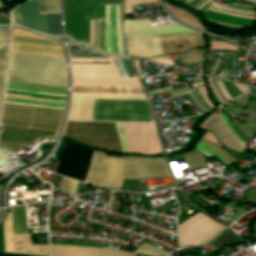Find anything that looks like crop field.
<instances>
[{"mask_svg":"<svg viewBox=\"0 0 256 256\" xmlns=\"http://www.w3.org/2000/svg\"><path fill=\"white\" fill-rule=\"evenodd\" d=\"M73 95L69 120H91L94 99L147 100L128 59L69 47Z\"/></svg>","mask_w":256,"mask_h":256,"instance_id":"8a807250","label":"crop field"},{"mask_svg":"<svg viewBox=\"0 0 256 256\" xmlns=\"http://www.w3.org/2000/svg\"><path fill=\"white\" fill-rule=\"evenodd\" d=\"M171 177L163 158L110 157L94 152L86 183L133 190V179Z\"/></svg>","mask_w":256,"mask_h":256,"instance_id":"ac0d7876","label":"crop field"},{"mask_svg":"<svg viewBox=\"0 0 256 256\" xmlns=\"http://www.w3.org/2000/svg\"><path fill=\"white\" fill-rule=\"evenodd\" d=\"M62 111L6 105L0 142L11 151L32 144L37 136L55 135Z\"/></svg>","mask_w":256,"mask_h":256,"instance_id":"34b2d1b8","label":"crop field"},{"mask_svg":"<svg viewBox=\"0 0 256 256\" xmlns=\"http://www.w3.org/2000/svg\"><path fill=\"white\" fill-rule=\"evenodd\" d=\"M8 79L67 85L64 58L11 52Z\"/></svg>","mask_w":256,"mask_h":256,"instance_id":"412701ff","label":"crop field"},{"mask_svg":"<svg viewBox=\"0 0 256 256\" xmlns=\"http://www.w3.org/2000/svg\"><path fill=\"white\" fill-rule=\"evenodd\" d=\"M67 87L8 80L4 103L64 110Z\"/></svg>","mask_w":256,"mask_h":256,"instance_id":"f4fd0767","label":"crop field"},{"mask_svg":"<svg viewBox=\"0 0 256 256\" xmlns=\"http://www.w3.org/2000/svg\"><path fill=\"white\" fill-rule=\"evenodd\" d=\"M194 32L176 23L151 27L148 19L125 20L126 37L151 36L157 34ZM130 55L141 58L162 55L158 36L126 38Z\"/></svg>","mask_w":256,"mask_h":256,"instance_id":"dd49c442","label":"crop field"},{"mask_svg":"<svg viewBox=\"0 0 256 256\" xmlns=\"http://www.w3.org/2000/svg\"><path fill=\"white\" fill-rule=\"evenodd\" d=\"M104 4L121 0H64L66 33L89 45V19H104Z\"/></svg>","mask_w":256,"mask_h":256,"instance_id":"e52e79f7","label":"crop field"},{"mask_svg":"<svg viewBox=\"0 0 256 256\" xmlns=\"http://www.w3.org/2000/svg\"><path fill=\"white\" fill-rule=\"evenodd\" d=\"M116 125L123 153L156 155L162 152L155 124Z\"/></svg>","mask_w":256,"mask_h":256,"instance_id":"d8731c3e","label":"crop field"},{"mask_svg":"<svg viewBox=\"0 0 256 256\" xmlns=\"http://www.w3.org/2000/svg\"><path fill=\"white\" fill-rule=\"evenodd\" d=\"M92 120L150 122L153 119L148 101L95 100Z\"/></svg>","mask_w":256,"mask_h":256,"instance_id":"5a996713","label":"crop field"},{"mask_svg":"<svg viewBox=\"0 0 256 256\" xmlns=\"http://www.w3.org/2000/svg\"><path fill=\"white\" fill-rule=\"evenodd\" d=\"M12 24L20 25L42 34H61L60 13L40 14L39 0H30L11 13Z\"/></svg>","mask_w":256,"mask_h":256,"instance_id":"3316defc","label":"crop field"},{"mask_svg":"<svg viewBox=\"0 0 256 256\" xmlns=\"http://www.w3.org/2000/svg\"><path fill=\"white\" fill-rule=\"evenodd\" d=\"M62 147L55 173L84 181L94 151L71 141Z\"/></svg>","mask_w":256,"mask_h":256,"instance_id":"28ad6ade","label":"crop field"},{"mask_svg":"<svg viewBox=\"0 0 256 256\" xmlns=\"http://www.w3.org/2000/svg\"><path fill=\"white\" fill-rule=\"evenodd\" d=\"M218 224L212 222L208 218L204 217L201 214H195L186 222H184L181 227L182 232V242L183 246L187 244H196L209 233H211L214 229H216ZM226 228L222 225L205 237L202 241H200L196 245H205L210 242L212 239L217 237L221 232H223Z\"/></svg>","mask_w":256,"mask_h":256,"instance_id":"d1516ede","label":"crop field"},{"mask_svg":"<svg viewBox=\"0 0 256 256\" xmlns=\"http://www.w3.org/2000/svg\"><path fill=\"white\" fill-rule=\"evenodd\" d=\"M212 7L225 10V11L235 12V13L253 15V12L243 11V10L253 11V6H250V5L235 4V3H231L230 5H228V7L243 9V10H236L232 8L215 5V4H213ZM212 7H210L209 10L205 13V18L208 21L217 23L225 27H230V28H241L243 26H247L254 23L253 16L225 12V11L214 9Z\"/></svg>","mask_w":256,"mask_h":256,"instance_id":"22f410ed","label":"crop field"},{"mask_svg":"<svg viewBox=\"0 0 256 256\" xmlns=\"http://www.w3.org/2000/svg\"><path fill=\"white\" fill-rule=\"evenodd\" d=\"M5 252L49 256L48 245H32L30 234H13L12 212L3 222Z\"/></svg>","mask_w":256,"mask_h":256,"instance_id":"cbeb9de0","label":"crop field"},{"mask_svg":"<svg viewBox=\"0 0 256 256\" xmlns=\"http://www.w3.org/2000/svg\"><path fill=\"white\" fill-rule=\"evenodd\" d=\"M105 52L126 55L123 49L121 5H105Z\"/></svg>","mask_w":256,"mask_h":256,"instance_id":"5142ce71","label":"crop field"},{"mask_svg":"<svg viewBox=\"0 0 256 256\" xmlns=\"http://www.w3.org/2000/svg\"><path fill=\"white\" fill-rule=\"evenodd\" d=\"M14 51L62 56L60 47L54 41L17 29H15Z\"/></svg>","mask_w":256,"mask_h":256,"instance_id":"d9b57169","label":"crop field"},{"mask_svg":"<svg viewBox=\"0 0 256 256\" xmlns=\"http://www.w3.org/2000/svg\"><path fill=\"white\" fill-rule=\"evenodd\" d=\"M229 127L231 128L232 132L238 138V140L246 147L245 141L242 137L237 133V131L232 126L227 114H223ZM227 123L225 122L222 114H217L213 117L204 127V129H208L212 131L218 140L222 142L225 147L229 149H233L238 152H242L244 150V146L237 140L234 134L231 132L230 128L228 127Z\"/></svg>","mask_w":256,"mask_h":256,"instance_id":"733c2abd","label":"crop field"},{"mask_svg":"<svg viewBox=\"0 0 256 256\" xmlns=\"http://www.w3.org/2000/svg\"><path fill=\"white\" fill-rule=\"evenodd\" d=\"M163 54H174L203 46L202 34L159 36Z\"/></svg>","mask_w":256,"mask_h":256,"instance_id":"4a817a6b","label":"crop field"},{"mask_svg":"<svg viewBox=\"0 0 256 256\" xmlns=\"http://www.w3.org/2000/svg\"><path fill=\"white\" fill-rule=\"evenodd\" d=\"M52 256H136L135 253H129L113 248L103 249L79 247V246H65V245H51Z\"/></svg>","mask_w":256,"mask_h":256,"instance_id":"bc2a9ffb","label":"crop field"},{"mask_svg":"<svg viewBox=\"0 0 256 256\" xmlns=\"http://www.w3.org/2000/svg\"><path fill=\"white\" fill-rule=\"evenodd\" d=\"M9 27H0V99L5 84L6 67L8 62V41H9ZM1 107V101H0Z\"/></svg>","mask_w":256,"mask_h":256,"instance_id":"214f88e0","label":"crop field"},{"mask_svg":"<svg viewBox=\"0 0 256 256\" xmlns=\"http://www.w3.org/2000/svg\"><path fill=\"white\" fill-rule=\"evenodd\" d=\"M195 149H197L200 153L205 155L207 158L215 155L227 166L233 164L236 161L221 148L202 140H200V142L197 144Z\"/></svg>","mask_w":256,"mask_h":256,"instance_id":"92a150f3","label":"crop field"},{"mask_svg":"<svg viewBox=\"0 0 256 256\" xmlns=\"http://www.w3.org/2000/svg\"><path fill=\"white\" fill-rule=\"evenodd\" d=\"M163 4L165 5L166 9L181 22L204 31V29H203L202 25L199 23V21L197 19H195L189 13H187L183 10L177 9V8L170 7L165 3H163Z\"/></svg>","mask_w":256,"mask_h":256,"instance_id":"dafd665d","label":"crop field"},{"mask_svg":"<svg viewBox=\"0 0 256 256\" xmlns=\"http://www.w3.org/2000/svg\"><path fill=\"white\" fill-rule=\"evenodd\" d=\"M183 66L201 63L204 61L203 49H193L184 53L178 54Z\"/></svg>","mask_w":256,"mask_h":256,"instance_id":"00972430","label":"crop field"},{"mask_svg":"<svg viewBox=\"0 0 256 256\" xmlns=\"http://www.w3.org/2000/svg\"><path fill=\"white\" fill-rule=\"evenodd\" d=\"M14 233L27 232L25 208L13 210Z\"/></svg>","mask_w":256,"mask_h":256,"instance_id":"a9b5d70f","label":"crop field"},{"mask_svg":"<svg viewBox=\"0 0 256 256\" xmlns=\"http://www.w3.org/2000/svg\"><path fill=\"white\" fill-rule=\"evenodd\" d=\"M95 48L104 51V20H95Z\"/></svg>","mask_w":256,"mask_h":256,"instance_id":"4177f3b9","label":"crop field"},{"mask_svg":"<svg viewBox=\"0 0 256 256\" xmlns=\"http://www.w3.org/2000/svg\"><path fill=\"white\" fill-rule=\"evenodd\" d=\"M136 253L147 255V256H169L171 253L161 250L159 248L153 247L146 243L139 246Z\"/></svg>","mask_w":256,"mask_h":256,"instance_id":"730fd06b","label":"crop field"},{"mask_svg":"<svg viewBox=\"0 0 256 256\" xmlns=\"http://www.w3.org/2000/svg\"><path fill=\"white\" fill-rule=\"evenodd\" d=\"M228 230L215 242L213 246H228L243 242L241 238Z\"/></svg>","mask_w":256,"mask_h":256,"instance_id":"eef30255","label":"crop field"},{"mask_svg":"<svg viewBox=\"0 0 256 256\" xmlns=\"http://www.w3.org/2000/svg\"><path fill=\"white\" fill-rule=\"evenodd\" d=\"M183 155L190 169L205 165L201 154L195 151L184 153Z\"/></svg>","mask_w":256,"mask_h":256,"instance_id":"ae1a2a85","label":"crop field"},{"mask_svg":"<svg viewBox=\"0 0 256 256\" xmlns=\"http://www.w3.org/2000/svg\"><path fill=\"white\" fill-rule=\"evenodd\" d=\"M41 13L60 12L59 0H40Z\"/></svg>","mask_w":256,"mask_h":256,"instance_id":"d3111659","label":"crop field"},{"mask_svg":"<svg viewBox=\"0 0 256 256\" xmlns=\"http://www.w3.org/2000/svg\"><path fill=\"white\" fill-rule=\"evenodd\" d=\"M77 184H78L77 181H73V180L62 177L59 190L69 195H73L76 192Z\"/></svg>","mask_w":256,"mask_h":256,"instance_id":"750c4746","label":"crop field"},{"mask_svg":"<svg viewBox=\"0 0 256 256\" xmlns=\"http://www.w3.org/2000/svg\"><path fill=\"white\" fill-rule=\"evenodd\" d=\"M166 90H169V92L172 96H175V95H178V94L180 95L182 93L191 92L190 89L188 88V86H184V87H181V88H178V89H175V90H173L172 86H168V87H165V88L149 91V92H147V94L150 95V94H154V93H161V92H164Z\"/></svg>","mask_w":256,"mask_h":256,"instance_id":"bd1437ed","label":"crop field"},{"mask_svg":"<svg viewBox=\"0 0 256 256\" xmlns=\"http://www.w3.org/2000/svg\"><path fill=\"white\" fill-rule=\"evenodd\" d=\"M157 0H124V15L132 14L131 5L154 3Z\"/></svg>","mask_w":256,"mask_h":256,"instance_id":"1d83c4d3","label":"crop field"},{"mask_svg":"<svg viewBox=\"0 0 256 256\" xmlns=\"http://www.w3.org/2000/svg\"><path fill=\"white\" fill-rule=\"evenodd\" d=\"M235 126L238 128L241 134L245 137V139L256 131V125H252V124L240 125L236 123Z\"/></svg>","mask_w":256,"mask_h":256,"instance_id":"120bbe31","label":"crop field"},{"mask_svg":"<svg viewBox=\"0 0 256 256\" xmlns=\"http://www.w3.org/2000/svg\"><path fill=\"white\" fill-rule=\"evenodd\" d=\"M203 0H195L192 4H190L189 6L191 7H195L197 6L200 2H202ZM212 0H204L202 3H200L197 7H195L196 10L198 11H204L210 4H211Z\"/></svg>","mask_w":256,"mask_h":256,"instance_id":"d32e631a","label":"crop field"},{"mask_svg":"<svg viewBox=\"0 0 256 256\" xmlns=\"http://www.w3.org/2000/svg\"><path fill=\"white\" fill-rule=\"evenodd\" d=\"M199 95L202 97L203 101L210 107L215 108L214 105L212 104V102L209 100V98L207 97V93L204 89V87H200L197 89Z\"/></svg>","mask_w":256,"mask_h":256,"instance_id":"5866460e","label":"crop field"},{"mask_svg":"<svg viewBox=\"0 0 256 256\" xmlns=\"http://www.w3.org/2000/svg\"><path fill=\"white\" fill-rule=\"evenodd\" d=\"M148 60L159 62V63L165 64V65H169V66L173 65V63L171 62V60H170L168 55L161 56V57H156V58H150Z\"/></svg>","mask_w":256,"mask_h":256,"instance_id":"028f5c9d","label":"crop field"},{"mask_svg":"<svg viewBox=\"0 0 256 256\" xmlns=\"http://www.w3.org/2000/svg\"><path fill=\"white\" fill-rule=\"evenodd\" d=\"M188 98L191 100L192 104L194 105V107H196L198 109L199 112L204 113L206 112V110L200 105V103L198 102V100L195 98V96L193 95V93L187 94Z\"/></svg>","mask_w":256,"mask_h":256,"instance_id":"e1f06a70","label":"crop field"},{"mask_svg":"<svg viewBox=\"0 0 256 256\" xmlns=\"http://www.w3.org/2000/svg\"><path fill=\"white\" fill-rule=\"evenodd\" d=\"M224 109L228 110L229 112L237 116L241 112L243 107L230 103L226 107H224Z\"/></svg>","mask_w":256,"mask_h":256,"instance_id":"0bd39190","label":"crop field"},{"mask_svg":"<svg viewBox=\"0 0 256 256\" xmlns=\"http://www.w3.org/2000/svg\"><path fill=\"white\" fill-rule=\"evenodd\" d=\"M249 96H250V92L246 93L245 95L241 96L238 99L233 100V102H236V103H239V104H242V105L246 106L247 101L249 99Z\"/></svg>","mask_w":256,"mask_h":256,"instance_id":"b80d0937","label":"crop field"},{"mask_svg":"<svg viewBox=\"0 0 256 256\" xmlns=\"http://www.w3.org/2000/svg\"><path fill=\"white\" fill-rule=\"evenodd\" d=\"M203 140L209 141V142H213V143L219 145L218 142H217V140H216V138H215L210 132H207V133L204 135ZM219 146H220V145H219ZM220 147H221V146H220Z\"/></svg>","mask_w":256,"mask_h":256,"instance_id":"c035e120","label":"crop field"},{"mask_svg":"<svg viewBox=\"0 0 256 256\" xmlns=\"http://www.w3.org/2000/svg\"><path fill=\"white\" fill-rule=\"evenodd\" d=\"M224 83H225V85H226V88H227L229 94L232 96V98L238 96V95L234 92V90L232 89L231 83H227V82H224Z\"/></svg>","mask_w":256,"mask_h":256,"instance_id":"c21b1889","label":"crop field"},{"mask_svg":"<svg viewBox=\"0 0 256 256\" xmlns=\"http://www.w3.org/2000/svg\"><path fill=\"white\" fill-rule=\"evenodd\" d=\"M194 95L197 97V99L199 100V102L202 104L203 107H205L206 109L210 110V108L208 106H206L203 101L200 99L199 95L197 94V92H194Z\"/></svg>","mask_w":256,"mask_h":256,"instance_id":"03da06ac","label":"crop field"},{"mask_svg":"<svg viewBox=\"0 0 256 256\" xmlns=\"http://www.w3.org/2000/svg\"><path fill=\"white\" fill-rule=\"evenodd\" d=\"M235 60H236V57H235V59L231 62V66H230V75H234L233 72H235V71H234Z\"/></svg>","mask_w":256,"mask_h":256,"instance_id":"b54c1fbb","label":"crop field"},{"mask_svg":"<svg viewBox=\"0 0 256 256\" xmlns=\"http://www.w3.org/2000/svg\"><path fill=\"white\" fill-rule=\"evenodd\" d=\"M221 77L229 80V78H228V73H227V69H224V70L221 72Z\"/></svg>","mask_w":256,"mask_h":256,"instance_id":"5d738f31","label":"crop field"},{"mask_svg":"<svg viewBox=\"0 0 256 256\" xmlns=\"http://www.w3.org/2000/svg\"><path fill=\"white\" fill-rule=\"evenodd\" d=\"M216 114H212V115H210L202 124H201V128H203V126L213 117V116H215Z\"/></svg>","mask_w":256,"mask_h":256,"instance_id":"d23c7cc5","label":"crop field"},{"mask_svg":"<svg viewBox=\"0 0 256 256\" xmlns=\"http://www.w3.org/2000/svg\"><path fill=\"white\" fill-rule=\"evenodd\" d=\"M0 256H22V255H11V254H2V253H0Z\"/></svg>","mask_w":256,"mask_h":256,"instance_id":"425ffa30","label":"crop field"},{"mask_svg":"<svg viewBox=\"0 0 256 256\" xmlns=\"http://www.w3.org/2000/svg\"><path fill=\"white\" fill-rule=\"evenodd\" d=\"M178 1H181V2H183V3H186V4H189L191 1H193V0H178Z\"/></svg>","mask_w":256,"mask_h":256,"instance_id":"25e5ab78","label":"crop field"},{"mask_svg":"<svg viewBox=\"0 0 256 256\" xmlns=\"http://www.w3.org/2000/svg\"><path fill=\"white\" fill-rule=\"evenodd\" d=\"M205 83H203V84H199V85H196L195 87L197 88V87H199V86H202V85H204Z\"/></svg>","mask_w":256,"mask_h":256,"instance_id":"73cf0c24","label":"crop field"},{"mask_svg":"<svg viewBox=\"0 0 256 256\" xmlns=\"http://www.w3.org/2000/svg\"><path fill=\"white\" fill-rule=\"evenodd\" d=\"M0 24H8V23H5V22H3V21L0 20Z\"/></svg>","mask_w":256,"mask_h":256,"instance_id":"89e229c0","label":"crop field"},{"mask_svg":"<svg viewBox=\"0 0 256 256\" xmlns=\"http://www.w3.org/2000/svg\"><path fill=\"white\" fill-rule=\"evenodd\" d=\"M254 1V0H253ZM256 1V0H255Z\"/></svg>","mask_w":256,"mask_h":256,"instance_id":"1f2cbd36","label":"crop field"}]
</instances>
